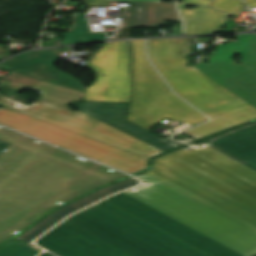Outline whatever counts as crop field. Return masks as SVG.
Returning <instances> with one entry per match:
<instances>
[{
    "mask_svg": "<svg viewBox=\"0 0 256 256\" xmlns=\"http://www.w3.org/2000/svg\"><path fill=\"white\" fill-rule=\"evenodd\" d=\"M37 244L60 256H127L65 222Z\"/></svg>",
    "mask_w": 256,
    "mask_h": 256,
    "instance_id": "obj_13",
    "label": "crop field"
},
{
    "mask_svg": "<svg viewBox=\"0 0 256 256\" xmlns=\"http://www.w3.org/2000/svg\"><path fill=\"white\" fill-rule=\"evenodd\" d=\"M250 7H256V0H245Z\"/></svg>",
    "mask_w": 256,
    "mask_h": 256,
    "instance_id": "obj_30",
    "label": "crop field"
},
{
    "mask_svg": "<svg viewBox=\"0 0 256 256\" xmlns=\"http://www.w3.org/2000/svg\"><path fill=\"white\" fill-rule=\"evenodd\" d=\"M130 61L128 41L106 42L88 65L96 82L87 88L84 101L129 102Z\"/></svg>",
    "mask_w": 256,
    "mask_h": 256,
    "instance_id": "obj_10",
    "label": "crop field"
},
{
    "mask_svg": "<svg viewBox=\"0 0 256 256\" xmlns=\"http://www.w3.org/2000/svg\"><path fill=\"white\" fill-rule=\"evenodd\" d=\"M20 103L7 99L3 96L0 97L1 108L39 118L65 129L132 152L147 159L164 153L81 111L73 112L68 110L65 106L41 100H38L30 107H28L29 105L26 106Z\"/></svg>",
    "mask_w": 256,
    "mask_h": 256,
    "instance_id": "obj_8",
    "label": "crop field"
},
{
    "mask_svg": "<svg viewBox=\"0 0 256 256\" xmlns=\"http://www.w3.org/2000/svg\"><path fill=\"white\" fill-rule=\"evenodd\" d=\"M140 183L138 180L131 178L119 183H116L112 186H109L107 188H104L88 197H85L57 212H55L53 215H51L50 217H48L47 219H45L43 222H41L40 224H38L37 226H35L33 229H31L30 231H28L27 233H25L22 237L32 241L34 240L36 237H38L39 235H41L43 232H45L46 230H48L50 227H52L54 224H56L57 222H59L61 219H63L65 216H67L68 214L82 208L85 207L109 194L112 193H116L118 191H121L123 189H126L128 187H131L133 185H136Z\"/></svg>",
    "mask_w": 256,
    "mask_h": 256,
    "instance_id": "obj_17",
    "label": "crop field"
},
{
    "mask_svg": "<svg viewBox=\"0 0 256 256\" xmlns=\"http://www.w3.org/2000/svg\"><path fill=\"white\" fill-rule=\"evenodd\" d=\"M230 87H231V86H225V88H227L229 91H230Z\"/></svg>",
    "mask_w": 256,
    "mask_h": 256,
    "instance_id": "obj_34",
    "label": "crop field"
},
{
    "mask_svg": "<svg viewBox=\"0 0 256 256\" xmlns=\"http://www.w3.org/2000/svg\"><path fill=\"white\" fill-rule=\"evenodd\" d=\"M192 38L148 40V55L154 66L177 95L212 120L185 133L202 138L256 118V108L230 93L223 86L187 67L186 54Z\"/></svg>",
    "mask_w": 256,
    "mask_h": 256,
    "instance_id": "obj_2",
    "label": "crop field"
},
{
    "mask_svg": "<svg viewBox=\"0 0 256 256\" xmlns=\"http://www.w3.org/2000/svg\"><path fill=\"white\" fill-rule=\"evenodd\" d=\"M124 20L119 27V33L112 39H125L129 36L131 9H124Z\"/></svg>",
    "mask_w": 256,
    "mask_h": 256,
    "instance_id": "obj_24",
    "label": "crop field"
},
{
    "mask_svg": "<svg viewBox=\"0 0 256 256\" xmlns=\"http://www.w3.org/2000/svg\"><path fill=\"white\" fill-rule=\"evenodd\" d=\"M145 173L256 232V214L153 161Z\"/></svg>",
    "mask_w": 256,
    "mask_h": 256,
    "instance_id": "obj_11",
    "label": "crop field"
},
{
    "mask_svg": "<svg viewBox=\"0 0 256 256\" xmlns=\"http://www.w3.org/2000/svg\"><path fill=\"white\" fill-rule=\"evenodd\" d=\"M111 1H131V0H111Z\"/></svg>",
    "mask_w": 256,
    "mask_h": 256,
    "instance_id": "obj_33",
    "label": "crop field"
},
{
    "mask_svg": "<svg viewBox=\"0 0 256 256\" xmlns=\"http://www.w3.org/2000/svg\"><path fill=\"white\" fill-rule=\"evenodd\" d=\"M130 43L134 91L129 121L149 130L165 118L194 125L209 120L170 91L147 60L144 40Z\"/></svg>",
    "mask_w": 256,
    "mask_h": 256,
    "instance_id": "obj_6",
    "label": "crop field"
},
{
    "mask_svg": "<svg viewBox=\"0 0 256 256\" xmlns=\"http://www.w3.org/2000/svg\"><path fill=\"white\" fill-rule=\"evenodd\" d=\"M8 146H9V144L0 141V154H1L4 150H6Z\"/></svg>",
    "mask_w": 256,
    "mask_h": 256,
    "instance_id": "obj_29",
    "label": "crop field"
},
{
    "mask_svg": "<svg viewBox=\"0 0 256 256\" xmlns=\"http://www.w3.org/2000/svg\"><path fill=\"white\" fill-rule=\"evenodd\" d=\"M186 5L188 4H178L186 24L185 34H211L223 30L224 20L227 14L204 6L192 10H185L184 6Z\"/></svg>",
    "mask_w": 256,
    "mask_h": 256,
    "instance_id": "obj_18",
    "label": "crop field"
},
{
    "mask_svg": "<svg viewBox=\"0 0 256 256\" xmlns=\"http://www.w3.org/2000/svg\"><path fill=\"white\" fill-rule=\"evenodd\" d=\"M0 139L8 141L14 146L20 147L107 182L118 180L127 176L126 174L111 170L102 165L100 166L89 160L70 154L3 127H0Z\"/></svg>",
    "mask_w": 256,
    "mask_h": 256,
    "instance_id": "obj_14",
    "label": "crop field"
},
{
    "mask_svg": "<svg viewBox=\"0 0 256 256\" xmlns=\"http://www.w3.org/2000/svg\"><path fill=\"white\" fill-rule=\"evenodd\" d=\"M134 1L160 2V0H134Z\"/></svg>",
    "mask_w": 256,
    "mask_h": 256,
    "instance_id": "obj_31",
    "label": "crop field"
},
{
    "mask_svg": "<svg viewBox=\"0 0 256 256\" xmlns=\"http://www.w3.org/2000/svg\"><path fill=\"white\" fill-rule=\"evenodd\" d=\"M0 123L130 174L147 169V159L39 119L0 109Z\"/></svg>",
    "mask_w": 256,
    "mask_h": 256,
    "instance_id": "obj_7",
    "label": "crop field"
},
{
    "mask_svg": "<svg viewBox=\"0 0 256 256\" xmlns=\"http://www.w3.org/2000/svg\"><path fill=\"white\" fill-rule=\"evenodd\" d=\"M5 86H8V88H5ZM23 88L42 93L41 97L43 100L63 105H66L71 100H82L85 94L84 92L46 83L44 81H41L33 88L24 85H19L17 83L10 82L5 79H3L0 83V89L9 92L18 93Z\"/></svg>",
    "mask_w": 256,
    "mask_h": 256,
    "instance_id": "obj_20",
    "label": "crop field"
},
{
    "mask_svg": "<svg viewBox=\"0 0 256 256\" xmlns=\"http://www.w3.org/2000/svg\"><path fill=\"white\" fill-rule=\"evenodd\" d=\"M183 2L195 3V4H201V5H207V6H210V4L212 3L211 0H183Z\"/></svg>",
    "mask_w": 256,
    "mask_h": 256,
    "instance_id": "obj_26",
    "label": "crop field"
},
{
    "mask_svg": "<svg viewBox=\"0 0 256 256\" xmlns=\"http://www.w3.org/2000/svg\"><path fill=\"white\" fill-rule=\"evenodd\" d=\"M146 184L124 192L243 255L256 254V233L143 174Z\"/></svg>",
    "mask_w": 256,
    "mask_h": 256,
    "instance_id": "obj_4",
    "label": "crop field"
},
{
    "mask_svg": "<svg viewBox=\"0 0 256 256\" xmlns=\"http://www.w3.org/2000/svg\"><path fill=\"white\" fill-rule=\"evenodd\" d=\"M65 222L129 256H208L106 200Z\"/></svg>",
    "mask_w": 256,
    "mask_h": 256,
    "instance_id": "obj_3",
    "label": "crop field"
},
{
    "mask_svg": "<svg viewBox=\"0 0 256 256\" xmlns=\"http://www.w3.org/2000/svg\"><path fill=\"white\" fill-rule=\"evenodd\" d=\"M107 200L210 256H241L123 193Z\"/></svg>",
    "mask_w": 256,
    "mask_h": 256,
    "instance_id": "obj_12",
    "label": "crop field"
},
{
    "mask_svg": "<svg viewBox=\"0 0 256 256\" xmlns=\"http://www.w3.org/2000/svg\"><path fill=\"white\" fill-rule=\"evenodd\" d=\"M42 256H53V255H51V254H49V253H45V254H43Z\"/></svg>",
    "mask_w": 256,
    "mask_h": 256,
    "instance_id": "obj_32",
    "label": "crop field"
},
{
    "mask_svg": "<svg viewBox=\"0 0 256 256\" xmlns=\"http://www.w3.org/2000/svg\"><path fill=\"white\" fill-rule=\"evenodd\" d=\"M154 161L256 213V171L224 154L207 146Z\"/></svg>",
    "mask_w": 256,
    "mask_h": 256,
    "instance_id": "obj_5",
    "label": "crop field"
},
{
    "mask_svg": "<svg viewBox=\"0 0 256 256\" xmlns=\"http://www.w3.org/2000/svg\"><path fill=\"white\" fill-rule=\"evenodd\" d=\"M5 79L10 80V81H14V82H17V83H21V84H24V85H27V86H31V87H33L38 82H40V80H36V79H33V78L25 77V76L14 74V73L10 74Z\"/></svg>",
    "mask_w": 256,
    "mask_h": 256,
    "instance_id": "obj_25",
    "label": "crop field"
},
{
    "mask_svg": "<svg viewBox=\"0 0 256 256\" xmlns=\"http://www.w3.org/2000/svg\"><path fill=\"white\" fill-rule=\"evenodd\" d=\"M40 252L41 249L22 237L0 248V256H36Z\"/></svg>",
    "mask_w": 256,
    "mask_h": 256,
    "instance_id": "obj_22",
    "label": "crop field"
},
{
    "mask_svg": "<svg viewBox=\"0 0 256 256\" xmlns=\"http://www.w3.org/2000/svg\"><path fill=\"white\" fill-rule=\"evenodd\" d=\"M105 183L10 145L0 155V242Z\"/></svg>",
    "mask_w": 256,
    "mask_h": 256,
    "instance_id": "obj_1",
    "label": "crop field"
},
{
    "mask_svg": "<svg viewBox=\"0 0 256 256\" xmlns=\"http://www.w3.org/2000/svg\"><path fill=\"white\" fill-rule=\"evenodd\" d=\"M181 20L174 4L133 2L132 27H160Z\"/></svg>",
    "mask_w": 256,
    "mask_h": 256,
    "instance_id": "obj_19",
    "label": "crop field"
},
{
    "mask_svg": "<svg viewBox=\"0 0 256 256\" xmlns=\"http://www.w3.org/2000/svg\"><path fill=\"white\" fill-rule=\"evenodd\" d=\"M80 101H71L69 104L76 106ZM67 104L66 106H68ZM77 107L81 111L108 123L134 137H137L165 152L178 147L179 145L162 139L148 131L126 121L128 104L123 103H100V102H82Z\"/></svg>",
    "mask_w": 256,
    "mask_h": 256,
    "instance_id": "obj_15",
    "label": "crop field"
},
{
    "mask_svg": "<svg viewBox=\"0 0 256 256\" xmlns=\"http://www.w3.org/2000/svg\"><path fill=\"white\" fill-rule=\"evenodd\" d=\"M238 42L217 45L209 64L194 67L221 85H234L232 93L256 107V35H237ZM235 54L242 55L241 63L234 65Z\"/></svg>",
    "mask_w": 256,
    "mask_h": 256,
    "instance_id": "obj_9",
    "label": "crop field"
},
{
    "mask_svg": "<svg viewBox=\"0 0 256 256\" xmlns=\"http://www.w3.org/2000/svg\"><path fill=\"white\" fill-rule=\"evenodd\" d=\"M243 4L238 0H214L212 7L234 14Z\"/></svg>",
    "mask_w": 256,
    "mask_h": 256,
    "instance_id": "obj_23",
    "label": "crop field"
},
{
    "mask_svg": "<svg viewBox=\"0 0 256 256\" xmlns=\"http://www.w3.org/2000/svg\"><path fill=\"white\" fill-rule=\"evenodd\" d=\"M98 40H105V35L91 32L86 20H84V14L78 13L73 32L66 33L63 39V45Z\"/></svg>",
    "mask_w": 256,
    "mask_h": 256,
    "instance_id": "obj_21",
    "label": "crop field"
},
{
    "mask_svg": "<svg viewBox=\"0 0 256 256\" xmlns=\"http://www.w3.org/2000/svg\"><path fill=\"white\" fill-rule=\"evenodd\" d=\"M236 23L231 22V21H225V28H224V32H230V31H234L233 29H231L233 26H235Z\"/></svg>",
    "mask_w": 256,
    "mask_h": 256,
    "instance_id": "obj_27",
    "label": "crop field"
},
{
    "mask_svg": "<svg viewBox=\"0 0 256 256\" xmlns=\"http://www.w3.org/2000/svg\"><path fill=\"white\" fill-rule=\"evenodd\" d=\"M11 53L7 50H5V48L3 46L0 45V60L9 56L8 54Z\"/></svg>",
    "mask_w": 256,
    "mask_h": 256,
    "instance_id": "obj_28",
    "label": "crop field"
},
{
    "mask_svg": "<svg viewBox=\"0 0 256 256\" xmlns=\"http://www.w3.org/2000/svg\"><path fill=\"white\" fill-rule=\"evenodd\" d=\"M203 142L256 170V122Z\"/></svg>",
    "mask_w": 256,
    "mask_h": 256,
    "instance_id": "obj_16",
    "label": "crop field"
}]
</instances>
